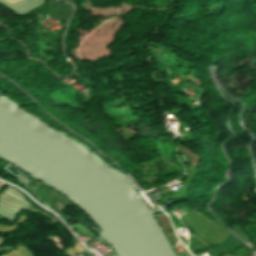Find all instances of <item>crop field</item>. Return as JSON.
<instances>
[{"label": "crop field", "mask_w": 256, "mask_h": 256, "mask_svg": "<svg viewBox=\"0 0 256 256\" xmlns=\"http://www.w3.org/2000/svg\"><path fill=\"white\" fill-rule=\"evenodd\" d=\"M7 169L10 170V171H12V172H14V173L17 175L19 181H20L21 183H23L25 186H26L27 184H29L31 181H33L32 178H30V177H28L27 175L21 173L20 171L14 169V168L11 167L10 165L7 167Z\"/></svg>", "instance_id": "8a807250"}]
</instances>
